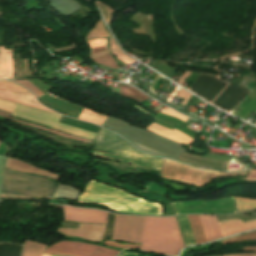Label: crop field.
Segmentation results:
<instances>
[{
    "mask_svg": "<svg viewBox=\"0 0 256 256\" xmlns=\"http://www.w3.org/2000/svg\"><path fill=\"white\" fill-rule=\"evenodd\" d=\"M206 241L221 238V233L215 216L199 215Z\"/></svg>",
    "mask_w": 256,
    "mask_h": 256,
    "instance_id": "cbeb9de0",
    "label": "crop field"
},
{
    "mask_svg": "<svg viewBox=\"0 0 256 256\" xmlns=\"http://www.w3.org/2000/svg\"><path fill=\"white\" fill-rule=\"evenodd\" d=\"M185 245L196 244L186 216L177 217Z\"/></svg>",
    "mask_w": 256,
    "mask_h": 256,
    "instance_id": "bc2a9ffb",
    "label": "crop field"
},
{
    "mask_svg": "<svg viewBox=\"0 0 256 256\" xmlns=\"http://www.w3.org/2000/svg\"><path fill=\"white\" fill-rule=\"evenodd\" d=\"M256 124V123H255Z\"/></svg>",
    "mask_w": 256,
    "mask_h": 256,
    "instance_id": "b54c1fbb",
    "label": "crop field"
},
{
    "mask_svg": "<svg viewBox=\"0 0 256 256\" xmlns=\"http://www.w3.org/2000/svg\"><path fill=\"white\" fill-rule=\"evenodd\" d=\"M244 173H220L215 171L199 170L180 164L178 162L165 160L164 166L161 172V176L184 182L186 184H192L195 186H205L211 179L221 176H237L246 175Z\"/></svg>",
    "mask_w": 256,
    "mask_h": 256,
    "instance_id": "e52e79f7",
    "label": "crop field"
},
{
    "mask_svg": "<svg viewBox=\"0 0 256 256\" xmlns=\"http://www.w3.org/2000/svg\"><path fill=\"white\" fill-rule=\"evenodd\" d=\"M51 256H54V255H51Z\"/></svg>",
    "mask_w": 256,
    "mask_h": 256,
    "instance_id": "c21b1889",
    "label": "crop field"
},
{
    "mask_svg": "<svg viewBox=\"0 0 256 256\" xmlns=\"http://www.w3.org/2000/svg\"><path fill=\"white\" fill-rule=\"evenodd\" d=\"M79 119H82V120H85V121H88V122H91V123L101 126L102 123L104 122V120L106 119V116H103L101 114H98V113H95V112H92L90 110L83 108V110L79 116Z\"/></svg>",
    "mask_w": 256,
    "mask_h": 256,
    "instance_id": "92a150f3",
    "label": "crop field"
},
{
    "mask_svg": "<svg viewBox=\"0 0 256 256\" xmlns=\"http://www.w3.org/2000/svg\"><path fill=\"white\" fill-rule=\"evenodd\" d=\"M46 253L68 256H116L119 252L112 249L80 242L61 241L45 249Z\"/></svg>",
    "mask_w": 256,
    "mask_h": 256,
    "instance_id": "5a996713",
    "label": "crop field"
},
{
    "mask_svg": "<svg viewBox=\"0 0 256 256\" xmlns=\"http://www.w3.org/2000/svg\"><path fill=\"white\" fill-rule=\"evenodd\" d=\"M0 116L8 118L10 116V113L0 110Z\"/></svg>",
    "mask_w": 256,
    "mask_h": 256,
    "instance_id": "0bd39190",
    "label": "crop field"
},
{
    "mask_svg": "<svg viewBox=\"0 0 256 256\" xmlns=\"http://www.w3.org/2000/svg\"><path fill=\"white\" fill-rule=\"evenodd\" d=\"M78 202H92L107 205L116 212L162 216V206L147 203L116 188L90 180L79 195Z\"/></svg>",
    "mask_w": 256,
    "mask_h": 256,
    "instance_id": "8a807250",
    "label": "crop field"
},
{
    "mask_svg": "<svg viewBox=\"0 0 256 256\" xmlns=\"http://www.w3.org/2000/svg\"><path fill=\"white\" fill-rule=\"evenodd\" d=\"M244 240H256V231L246 233L244 235H240V236H237L234 238L226 239V240L222 241V243H223V245H226V244H231V243L240 242V241H244Z\"/></svg>",
    "mask_w": 256,
    "mask_h": 256,
    "instance_id": "4177f3b9",
    "label": "crop field"
},
{
    "mask_svg": "<svg viewBox=\"0 0 256 256\" xmlns=\"http://www.w3.org/2000/svg\"><path fill=\"white\" fill-rule=\"evenodd\" d=\"M161 113L166 114V115H170V116H174V117H176V118H178V119H180V120H182L184 122L188 119V117H185V116L177 113L176 111H174V110H172L170 108L165 110V111H163V112H161Z\"/></svg>",
    "mask_w": 256,
    "mask_h": 256,
    "instance_id": "d3111659",
    "label": "crop field"
},
{
    "mask_svg": "<svg viewBox=\"0 0 256 256\" xmlns=\"http://www.w3.org/2000/svg\"><path fill=\"white\" fill-rule=\"evenodd\" d=\"M109 49H110V51H111L113 56H115L117 59H119L120 61H122L123 63H125L127 65L135 62L134 60H132L131 58H129L125 54H123L121 52L122 50L120 51V49H119L117 44L109 47Z\"/></svg>",
    "mask_w": 256,
    "mask_h": 256,
    "instance_id": "a9b5d70f",
    "label": "crop field"
},
{
    "mask_svg": "<svg viewBox=\"0 0 256 256\" xmlns=\"http://www.w3.org/2000/svg\"><path fill=\"white\" fill-rule=\"evenodd\" d=\"M189 91L229 113L249 92L217 77L202 74Z\"/></svg>",
    "mask_w": 256,
    "mask_h": 256,
    "instance_id": "412701ff",
    "label": "crop field"
},
{
    "mask_svg": "<svg viewBox=\"0 0 256 256\" xmlns=\"http://www.w3.org/2000/svg\"><path fill=\"white\" fill-rule=\"evenodd\" d=\"M55 185L47 179L5 169L2 193L51 197Z\"/></svg>",
    "mask_w": 256,
    "mask_h": 256,
    "instance_id": "dd49c442",
    "label": "crop field"
},
{
    "mask_svg": "<svg viewBox=\"0 0 256 256\" xmlns=\"http://www.w3.org/2000/svg\"><path fill=\"white\" fill-rule=\"evenodd\" d=\"M0 97L12 100L18 103L46 109L45 107L41 106L40 103H38L33 95H28V94H22V93H16V92H10V91H5V90H0ZM48 110V109H46ZM51 111V110H49Z\"/></svg>",
    "mask_w": 256,
    "mask_h": 256,
    "instance_id": "d9b57169",
    "label": "crop field"
},
{
    "mask_svg": "<svg viewBox=\"0 0 256 256\" xmlns=\"http://www.w3.org/2000/svg\"><path fill=\"white\" fill-rule=\"evenodd\" d=\"M222 236H228L245 230L256 228V220L241 223L240 220L219 221Z\"/></svg>",
    "mask_w": 256,
    "mask_h": 256,
    "instance_id": "d1516ede",
    "label": "crop field"
},
{
    "mask_svg": "<svg viewBox=\"0 0 256 256\" xmlns=\"http://www.w3.org/2000/svg\"><path fill=\"white\" fill-rule=\"evenodd\" d=\"M224 256H255V254H230V255H224Z\"/></svg>",
    "mask_w": 256,
    "mask_h": 256,
    "instance_id": "e1f06a70",
    "label": "crop field"
},
{
    "mask_svg": "<svg viewBox=\"0 0 256 256\" xmlns=\"http://www.w3.org/2000/svg\"><path fill=\"white\" fill-rule=\"evenodd\" d=\"M5 167L20 170V171H24V172H28V173H32V174H37V175H41V176H45V177H49V178H52L54 180H57L60 177V176H58L54 173H50V172H47V171H44V170L37 169V168H35L33 166H30L26 163L20 162V161L15 160V159H10V158L7 159V163H6Z\"/></svg>",
    "mask_w": 256,
    "mask_h": 256,
    "instance_id": "5142ce71",
    "label": "crop field"
},
{
    "mask_svg": "<svg viewBox=\"0 0 256 256\" xmlns=\"http://www.w3.org/2000/svg\"><path fill=\"white\" fill-rule=\"evenodd\" d=\"M144 217L116 215L112 239L140 243Z\"/></svg>",
    "mask_w": 256,
    "mask_h": 256,
    "instance_id": "3316defc",
    "label": "crop field"
},
{
    "mask_svg": "<svg viewBox=\"0 0 256 256\" xmlns=\"http://www.w3.org/2000/svg\"><path fill=\"white\" fill-rule=\"evenodd\" d=\"M245 180L246 181H255L256 180V170H251L249 176Z\"/></svg>",
    "mask_w": 256,
    "mask_h": 256,
    "instance_id": "d32e631a",
    "label": "crop field"
},
{
    "mask_svg": "<svg viewBox=\"0 0 256 256\" xmlns=\"http://www.w3.org/2000/svg\"><path fill=\"white\" fill-rule=\"evenodd\" d=\"M104 244L111 245V246H116V247H122V248H139V245L122 244V243H118V242L104 241Z\"/></svg>",
    "mask_w": 256,
    "mask_h": 256,
    "instance_id": "750c4746",
    "label": "crop field"
},
{
    "mask_svg": "<svg viewBox=\"0 0 256 256\" xmlns=\"http://www.w3.org/2000/svg\"><path fill=\"white\" fill-rule=\"evenodd\" d=\"M45 245L24 240L22 256H41Z\"/></svg>",
    "mask_w": 256,
    "mask_h": 256,
    "instance_id": "214f88e0",
    "label": "crop field"
},
{
    "mask_svg": "<svg viewBox=\"0 0 256 256\" xmlns=\"http://www.w3.org/2000/svg\"><path fill=\"white\" fill-rule=\"evenodd\" d=\"M42 256H50V255L43 254Z\"/></svg>",
    "mask_w": 256,
    "mask_h": 256,
    "instance_id": "c035e120",
    "label": "crop field"
},
{
    "mask_svg": "<svg viewBox=\"0 0 256 256\" xmlns=\"http://www.w3.org/2000/svg\"><path fill=\"white\" fill-rule=\"evenodd\" d=\"M0 109L13 113V117L25 119L33 123L57 129L73 135L81 136L91 140H93V138L96 136V133L57 123L61 115L53 112L17 104L3 99H0Z\"/></svg>",
    "mask_w": 256,
    "mask_h": 256,
    "instance_id": "f4fd0767",
    "label": "crop field"
},
{
    "mask_svg": "<svg viewBox=\"0 0 256 256\" xmlns=\"http://www.w3.org/2000/svg\"><path fill=\"white\" fill-rule=\"evenodd\" d=\"M13 77V51L0 47V78Z\"/></svg>",
    "mask_w": 256,
    "mask_h": 256,
    "instance_id": "733c2abd",
    "label": "crop field"
},
{
    "mask_svg": "<svg viewBox=\"0 0 256 256\" xmlns=\"http://www.w3.org/2000/svg\"><path fill=\"white\" fill-rule=\"evenodd\" d=\"M163 78L164 77H162V76H158L157 78H156V80L153 82V84L150 86V88H151V90H155L156 88H157V86L160 84V82L163 80Z\"/></svg>",
    "mask_w": 256,
    "mask_h": 256,
    "instance_id": "120bbe31",
    "label": "crop field"
},
{
    "mask_svg": "<svg viewBox=\"0 0 256 256\" xmlns=\"http://www.w3.org/2000/svg\"><path fill=\"white\" fill-rule=\"evenodd\" d=\"M10 119H13V120H16V121H19V122H22V123H26V124H29V125H32V126H36V127L42 128V129H44V130L50 131V132H52V133L69 137V138H71V139H75V140H79V141L91 143L90 140H86V139H82V138H79V137H76V136H73V135H69V134H65V133L58 132V131L50 130V129H47V128H44V127H40V126L31 124V123H28V122H24V121H21V120H18V119H14V118H11V117H10Z\"/></svg>",
    "mask_w": 256,
    "mask_h": 256,
    "instance_id": "eef30255",
    "label": "crop field"
},
{
    "mask_svg": "<svg viewBox=\"0 0 256 256\" xmlns=\"http://www.w3.org/2000/svg\"><path fill=\"white\" fill-rule=\"evenodd\" d=\"M0 88L30 93L25 88H23L21 86H18L16 84L12 83V82H8V81H0Z\"/></svg>",
    "mask_w": 256,
    "mask_h": 256,
    "instance_id": "ae1a2a85",
    "label": "crop field"
},
{
    "mask_svg": "<svg viewBox=\"0 0 256 256\" xmlns=\"http://www.w3.org/2000/svg\"><path fill=\"white\" fill-rule=\"evenodd\" d=\"M64 220L106 224L107 213L100 210L81 209L63 205Z\"/></svg>",
    "mask_w": 256,
    "mask_h": 256,
    "instance_id": "28ad6ade",
    "label": "crop field"
},
{
    "mask_svg": "<svg viewBox=\"0 0 256 256\" xmlns=\"http://www.w3.org/2000/svg\"><path fill=\"white\" fill-rule=\"evenodd\" d=\"M95 149L113 153L106 154L93 152L94 156L112 159L144 167L161 169L163 159L148 154L140 153L122 138L101 129L95 139Z\"/></svg>",
    "mask_w": 256,
    "mask_h": 256,
    "instance_id": "34b2d1b8",
    "label": "crop field"
},
{
    "mask_svg": "<svg viewBox=\"0 0 256 256\" xmlns=\"http://www.w3.org/2000/svg\"><path fill=\"white\" fill-rule=\"evenodd\" d=\"M107 49H108L107 46L100 47V48H94V49H91V53H95V52H99V51H103V50H107Z\"/></svg>",
    "mask_w": 256,
    "mask_h": 256,
    "instance_id": "5866460e",
    "label": "crop field"
},
{
    "mask_svg": "<svg viewBox=\"0 0 256 256\" xmlns=\"http://www.w3.org/2000/svg\"><path fill=\"white\" fill-rule=\"evenodd\" d=\"M242 250H246V251H256V247H245Z\"/></svg>",
    "mask_w": 256,
    "mask_h": 256,
    "instance_id": "b80d0937",
    "label": "crop field"
},
{
    "mask_svg": "<svg viewBox=\"0 0 256 256\" xmlns=\"http://www.w3.org/2000/svg\"><path fill=\"white\" fill-rule=\"evenodd\" d=\"M6 159L7 158L0 156V190H1V184H2V178H3V172H4V166H5ZM0 196H1V194H0Z\"/></svg>",
    "mask_w": 256,
    "mask_h": 256,
    "instance_id": "1d83c4d3",
    "label": "crop field"
},
{
    "mask_svg": "<svg viewBox=\"0 0 256 256\" xmlns=\"http://www.w3.org/2000/svg\"><path fill=\"white\" fill-rule=\"evenodd\" d=\"M238 212H244L256 208L255 199L235 198Z\"/></svg>",
    "mask_w": 256,
    "mask_h": 256,
    "instance_id": "00972430",
    "label": "crop field"
},
{
    "mask_svg": "<svg viewBox=\"0 0 256 256\" xmlns=\"http://www.w3.org/2000/svg\"><path fill=\"white\" fill-rule=\"evenodd\" d=\"M176 214L185 213H210L227 214L235 213L233 197L225 198L213 202L191 201L173 203Z\"/></svg>",
    "mask_w": 256,
    "mask_h": 256,
    "instance_id": "d8731c3e",
    "label": "crop field"
},
{
    "mask_svg": "<svg viewBox=\"0 0 256 256\" xmlns=\"http://www.w3.org/2000/svg\"><path fill=\"white\" fill-rule=\"evenodd\" d=\"M119 94L122 95V96H125L129 99H134L138 102L149 98L148 96L142 94L141 92L135 90L134 88H132L130 86L125 87V86L121 85Z\"/></svg>",
    "mask_w": 256,
    "mask_h": 256,
    "instance_id": "dafd665d",
    "label": "crop field"
},
{
    "mask_svg": "<svg viewBox=\"0 0 256 256\" xmlns=\"http://www.w3.org/2000/svg\"><path fill=\"white\" fill-rule=\"evenodd\" d=\"M106 41H107V39H96V40L88 41L87 43L92 48V47H96V46L106 45Z\"/></svg>",
    "mask_w": 256,
    "mask_h": 256,
    "instance_id": "bd1437ed",
    "label": "crop field"
},
{
    "mask_svg": "<svg viewBox=\"0 0 256 256\" xmlns=\"http://www.w3.org/2000/svg\"><path fill=\"white\" fill-rule=\"evenodd\" d=\"M119 256H137V253L122 252Z\"/></svg>",
    "mask_w": 256,
    "mask_h": 256,
    "instance_id": "028f5c9d",
    "label": "crop field"
},
{
    "mask_svg": "<svg viewBox=\"0 0 256 256\" xmlns=\"http://www.w3.org/2000/svg\"><path fill=\"white\" fill-rule=\"evenodd\" d=\"M1 142V141H0ZM2 143V142H1Z\"/></svg>",
    "mask_w": 256,
    "mask_h": 256,
    "instance_id": "03da06ac",
    "label": "crop field"
},
{
    "mask_svg": "<svg viewBox=\"0 0 256 256\" xmlns=\"http://www.w3.org/2000/svg\"><path fill=\"white\" fill-rule=\"evenodd\" d=\"M191 229L193 231L196 243H204L205 241V237L202 231V227L199 221V217L197 215H191V216H187Z\"/></svg>",
    "mask_w": 256,
    "mask_h": 256,
    "instance_id": "4a817a6b",
    "label": "crop field"
},
{
    "mask_svg": "<svg viewBox=\"0 0 256 256\" xmlns=\"http://www.w3.org/2000/svg\"><path fill=\"white\" fill-rule=\"evenodd\" d=\"M93 60L99 64L104 65V66L118 69L116 63L114 62L113 58L109 54L101 56V57L93 59Z\"/></svg>",
    "mask_w": 256,
    "mask_h": 256,
    "instance_id": "730fd06b",
    "label": "crop field"
},
{
    "mask_svg": "<svg viewBox=\"0 0 256 256\" xmlns=\"http://www.w3.org/2000/svg\"><path fill=\"white\" fill-rule=\"evenodd\" d=\"M183 247L175 217H145L141 250L177 256Z\"/></svg>",
    "mask_w": 256,
    "mask_h": 256,
    "instance_id": "ac0d7876",
    "label": "crop field"
},
{
    "mask_svg": "<svg viewBox=\"0 0 256 256\" xmlns=\"http://www.w3.org/2000/svg\"><path fill=\"white\" fill-rule=\"evenodd\" d=\"M147 130L148 131H151V132H154V133H157V134H160L166 138H169L175 142H178V143H181L183 145H186V144H190L192 143L194 140H192L190 137H188L187 135L177 131V130H169V129H166L162 126H159L155 123H153L152 125H150L149 127H147Z\"/></svg>",
    "mask_w": 256,
    "mask_h": 256,
    "instance_id": "22f410ed",
    "label": "crop field"
}]
</instances>
